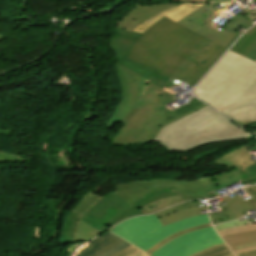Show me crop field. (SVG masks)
<instances>
[{
	"label": "crop field",
	"mask_w": 256,
	"mask_h": 256,
	"mask_svg": "<svg viewBox=\"0 0 256 256\" xmlns=\"http://www.w3.org/2000/svg\"><path fill=\"white\" fill-rule=\"evenodd\" d=\"M116 32L109 45L115 52L123 99L105 128L111 129L118 122L124 125L111 143L155 142L168 152L185 153L207 143L254 138L193 97L173 111L167 108L176 100L162 90L164 85L171 82L167 88L171 91L181 82L126 58L140 34L120 28Z\"/></svg>",
	"instance_id": "8a807250"
},
{
	"label": "crop field",
	"mask_w": 256,
	"mask_h": 256,
	"mask_svg": "<svg viewBox=\"0 0 256 256\" xmlns=\"http://www.w3.org/2000/svg\"><path fill=\"white\" fill-rule=\"evenodd\" d=\"M214 164L228 165L229 171L190 182L152 180L119 184L115 193L102 197L88 192L67 214L59 245L89 241L107 230L103 225L130 207L131 203L154 191L177 186L185 201L207 199L206 194L242 180L235 165L220 158L215 160Z\"/></svg>",
	"instance_id": "ac0d7876"
},
{
	"label": "crop field",
	"mask_w": 256,
	"mask_h": 256,
	"mask_svg": "<svg viewBox=\"0 0 256 256\" xmlns=\"http://www.w3.org/2000/svg\"><path fill=\"white\" fill-rule=\"evenodd\" d=\"M194 93L218 111L252 98L256 96V62L229 51Z\"/></svg>",
	"instance_id": "34b2d1b8"
},
{
	"label": "crop field",
	"mask_w": 256,
	"mask_h": 256,
	"mask_svg": "<svg viewBox=\"0 0 256 256\" xmlns=\"http://www.w3.org/2000/svg\"><path fill=\"white\" fill-rule=\"evenodd\" d=\"M194 33L164 17L141 34L128 58L160 70Z\"/></svg>",
	"instance_id": "412701ff"
},
{
	"label": "crop field",
	"mask_w": 256,
	"mask_h": 256,
	"mask_svg": "<svg viewBox=\"0 0 256 256\" xmlns=\"http://www.w3.org/2000/svg\"><path fill=\"white\" fill-rule=\"evenodd\" d=\"M225 50L226 48L195 33L164 65L160 73L172 76L193 88Z\"/></svg>",
	"instance_id": "f4fd0767"
},
{
	"label": "crop field",
	"mask_w": 256,
	"mask_h": 256,
	"mask_svg": "<svg viewBox=\"0 0 256 256\" xmlns=\"http://www.w3.org/2000/svg\"><path fill=\"white\" fill-rule=\"evenodd\" d=\"M213 227L184 234L165 244L152 256H190L210 246L222 244Z\"/></svg>",
	"instance_id": "dd49c442"
},
{
	"label": "crop field",
	"mask_w": 256,
	"mask_h": 256,
	"mask_svg": "<svg viewBox=\"0 0 256 256\" xmlns=\"http://www.w3.org/2000/svg\"><path fill=\"white\" fill-rule=\"evenodd\" d=\"M224 2L226 1L205 4L180 20L178 23L226 47L234 35L220 30L221 27L216 24H207V21L212 17V15L219 11L216 8L212 9L211 6Z\"/></svg>",
	"instance_id": "e52e79f7"
},
{
	"label": "crop field",
	"mask_w": 256,
	"mask_h": 256,
	"mask_svg": "<svg viewBox=\"0 0 256 256\" xmlns=\"http://www.w3.org/2000/svg\"><path fill=\"white\" fill-rule=\"evenodd\" d=\"M162 227L155 214L135 217L121 222L111 230L114 234L134 244L152 231Z\"/></svg>",
	"instance_id": "d8731c3e"
},
{
	"label": "crop field",
	"mask_w": 256,
	"mask_h": 256,
	"mask_svg": "<svg viewBox=\"0 0 256 256\" xmlns=\"http://www.w3.org/2000/svg\"><path fill=\"white\" fill-rule=\"evenodd\" d=\"M208 222H210V221L207 217V214H200L195 217L187 218V219L169 224L167 226H164V227L152 232L151 234L144 237L143 239H141L134 245H136L137 247L146 251L147 249H149L151 246H153L154 244H156L163 238H165L175 232L184 230V229L192 227V226L208 223Z\"/></svg>",
	"instance_id": "5a996713"
},
{
	"label": "crop field",
	"mask_w": 256,
	"mask_h": 256,
	"mask_svg": "<svg viewBox=\"0 0 256 256\" xmlns=\"http://www.w3.org/2000/svg\"><path fill=\"white\" fill-rule=\"evenodd\" d=\"M246 194L252 198L243 200L244 205L256 201V186L244 188ZM218 234L224 239L229 247L256 241V224L234 227L219 231Z\"/></svg>",
	"instance_id": "3316defc"
},
{
	"label": "crop field",
	"mask_w": 256,
	"mask_h": 256,
	"mask_svg": "<svg viewBox=\"0 0 256 256\" xmlns=\"http://www.w3.org/2000/svg\"><path fill=\"white\" fill-rule=\"evenodd\" d=\"M131 244L106 232L89 242L76 256H112Z\"/></svg>",
	"instance_id": "28ad6ade"
},
{
	"label": "crop field",
	"mask_w": 256,
	"mask_h": 256,
	"mask_svg": "<svg viewBox=\"0 0 256 256\" xmlns=\"http://www.w3.org/2000/svg\"><path fill=\"white\" fill-rule=\"evenodd\" d=\"M176 4H180V3H172V4H164V5H156V6H137L121 19L117 27L132 31L141 22L145 21L149 17L157 13H160Z\"/></svg>",
	"instance_id": "d1516ede"
},
{
	"label": "crop field",
	"mask_w": 256,
	"mask_h": 256,
	"mask_svg": "<svg viewBox=\"0 0 256 256\" xmlns=\"http://www.w3.org/2000/svg\"><path fill=\"white\" fill-rule=\"evenodd\" d=\"M207 210L206 207H198V201H190L176 205L174 207L168 208L161 212L156 213V216L162 223V225H167L169 223L195 216L200 214V211Z\"/></svg>",
	"instance_id": "22f410ed"
},
{
	"label": "crop field",
	"mask_w": 256,
	"mask_h": 256,
	"mask_svg": "<svg viewBox=\"0 0 256 256\" xmlns=\"http://www.w3.org/2000/svg\"><path fill=\"white\" fill-rule=\"evenodd\" d=\"M175 195H179V192H178L176 187L152 193V194L142 198L141 200L133 203L132 207H130L129 209L125 210L124 212H122L121 214L116 216L109 223H107L105 225V227H107L109 229L112 226H114L116 223H118V222H120V221H122V220H124L126 218L132 217L134 215H141V214H143L142 212H140L138 210V208L142 207V206H144V205H146V204H148V203H150V202H152L154 200L165 198V197H169V196H175Z\"/></svg>",
	"instance_id": "cbeb9de0"
},
{
	"label": "crop field",
	"mask_w": 256,
	"mask_h": 256,
	"mask_svg": "<svg viewBox=\"0 0 256 256\" xmlns=\"http://www.w3.org/2000/svg\"><path fill=\"white\" fill-rule=\"evenodd\" d=\"M220 158H223V159L237 165V167L239 164H241L245 169L248 170L247 173L250 174L252 176V178H249L246 173H244L238 169L244 183L248 182V181H253V180L256 181V161L252 160L249 157V155L247 154V152L245 150V145L227 153L226 155H224ZM244 168H242V169H244Z\"/></svg>",
	"instance_id": "5142ce71"
},
{
	"label": "crop field",
	"mask_w": 256,
	"mask_h": 256,
	"mask_svg": "<svg viewBox=\"0 0 256 256\" xmlns=\"http://www.w3.org/2000/svg\"><path fill=\"white\" fill-rule=\"evenodd\" d=\"M203 4H196V3H183L181 5H176L148 20L141 23L134 32L142 33L144 30H146L149 26H151L155 21H157L159 18L166 16L174 21H179L189 13L193 12Z\"/></svg>",
	"instance_id": "d9b57169"
},
{
	"label": "crop field",
	"mask_w": 256,
	"mask_h": 256,
	"mask_svg": "<svg viewBox=\"0 0 256 256\" xmlns=\"http://www.w3.org/2000/svg\"><path fill=\"white\" fill-rule=\"evenodd\" d=\"M221 112L237 121H256V97Z\"/></svg>",
	"instance_id": "733c2abd"
},
{
	"label": "crop field",
	"mask_w": 256,
	"mask_h": 256,
	"mask_svg": "<svg viewBox=\"0 0 256 256\" xmlns=\"http://www.w3.org/2000/svg\"><path fill=\"white\" fill-rule=\"evenodd\" d=\"M256 44V26L249 29L230 49L238 54H245Z\"/></svg>",
	"instance_id": "4a817a6b"
},
{
	"label": "crop field",
	"mask_w": 256,
	"mask_h": 256,
	"mask_svg": "<svg viewBox=\"0 0 256 256\" xmlns=\"http://www.w3.org/2000/svg\"><path fill=\"white\" fill-rule=\"evenodd\" d=\"M225 204L229 207L231 212L234 214L236 219L245 216V212L255 210L256 202L244 206L242 201L239 200L238 196L230 198L229 196L223 197Z\"/></svg>",
	"instance_id": "bc2a9ffb"
},
{
	"label": "crop field",
	"mask_w": 256,
	"mask_h": 256,
	"mask_svg": "<svg viewBox=\"0 0 256 256\" xmlns=\"http://www.w3.org/2000/svg\"><path fill=\"white\" fill-rule=\"evenodd\" d=\"M180 202H184V199L181 197V195L157 200L149 205L140 208L139 210L145 214H151L162 209H165L167 207H170L172 205L178 204Z\"/></svg>",
	"instance_id": "214f88e0"
},
{
	"label": "crop field",
	"mask_w": 256,
	"mask_h": 256,
	"mask_svg": "<svg viewBox=\"0 0 256 256\" xmlns=\"http://www.w3.org/2000/svg\"><path fill=\"white\" fill-rule=\"evenodd\" d=\"M239 25L244 26L246 28L250 27L251 25H253L250 21H248L243 15H241L240 13L232 18L230 21H228L224 26H223V30L230 32L234 35H236L234 37V39L229 43V45L227 46V48L233 43V41L239 36V34L233 32Z\"/></svg>",
	"instance_id": "92a150f3"
},
{
	"label": "crop field",
	"mask_w": 256,
	"mask_h": 256,
	"mask_svg": "<svg viewBox=\"0 0 256 256\" xmlns=\"http://www.w3.org/2000/svg\"><path fill=\"white\" fill-rule=\"evenodd\" d=\"M220 208L222 209L221 212L210 214V218L214 225L235 220V217L233 216V214L230 212L226 205L221 206Z\"/></svg>",
	"instance_id": "dafd665d"
},
{
	"label": "crop field",
	"mask_w": 256,
	"mask_h": 256,
	"mask_svg": "<svg viewBox=\"0 0 256 256\" xmlns=\"http://www.w3.org/2000/svg\"><path fill=\"white\" fill-rule=\"evenodd\" d=\"M211 226V223H208V224H204V225H200V226H196V227H192V228H189L187 230H184V231H181V232H178L176 234H173L165 239H163L162 241H160L159 243H157L156 245H154L152 248H150L148 251H146L148 254H152L153 252H155L159 247H161L163 244L171 241L172 239L184 234V233H187V232H190V231H193V230H197V229H202V228H206V227H210ZM164 246V245H163Z\"/></svg>",
	"instance_id": "00972430"
},
{
	"label": "crop field",
	"mask_w": 256,
	"mask_h": 256,
	"mask_svg": "<svg viewBox=\"0 0 256 256\" xmlns=\"http://www.w3.org/2000/svg\"><path fill=\"white\" fill-rule=\"evenodd\" d=\"M227 250H229L228 247L225 244H222V245L210 247V248H208L202 252L196 253L192 256H212V255H215L217 253L227 251Z\"/></svg>",
	"instance_id": "a9b5d70f"
},
{
	"label": "crop field",
	"mask_w": 256,
	"mask_h": 256,
	"mask_svg": "<svg viewBox=\"0 0 256 256\" xmlns=\"http://www.w3.org/2000/svg\"><path fill=\"white\" fill-rule=\"evenodd\" d=\"M249 224L246 220L240 222V220H236V221H232V222H228L222 225H218L215 226L216 231L218 230H222V229H226V228H230V227H234V226H240V225H246Z\"/></svg>",
	"instance_id": "4177f3b9"
},
{
	"label": "crop field",
	"mask_w": 256,
	"mask_h": 256,
	"mask_svg": "<svg viewBox=\"0 0 256 256\" xmlns=\"http://www.w3.org/2000/svg\"><path fill=\"white\" fill-rule=\"evenodd\" d=\"M139 251H141V250H139L131 245V246L127 247L126 249L122 250L121 252L117 253L114 256H131Z\"/></svg>",
	"instance_id": "730fd06b"
},
{
	"label": "crop field",
	"mask_w": 256,
	"mask_h": 256,
	"mask_svg": "<svg viewBox=\"0 0 256 256\" xmlns=\"http://www.w3.org/2000/svg\"><path fill=\"white\" fill-rule=\"evenodd\" d=\"M247 58L255 61L256 60V45L246 54Z\"/></svg>",
	"instance_id": "eef30255"
},
{
	"label": "crop field",
	"mask_w": 256,
	"mask_h": 256,
	"mask_svg": "<svg viewBox=\"0 0 256 256\" xmlns=\"http://www.w3.org/2000/svg\"><path fill=\"white\" fill-rule=\"evenodd\" d=\"M235 256H256V250L236 254Z\"/></svg>",
	"instance_id": "ae1a2a85"
},
{
	"label": "crop field",
	"mask_w": 256,
	"mask_h": 256,
	"mask_svg": "<svg viewBox=\"0 0 256 256\" xmlns=\"http://www.w3.org/2000/svg\"><path fill=\"white\" fill-rule=\"evenodd\" d=\"M245 17H247L251 21L256 19V10L254 9L252 12L248 13L247 15H245Z\"/></svg>",
	"instance_id": "d3111659"
},
{
	"label": "crop field",
	"mask_w": 256,
	"mask_h": 256,
	"mask_svg": "<svg viewBox=\"0 0 256 256\" xmlns=\"http://www.w3.org/2000/svg\"><path fill=\"white\" fill-rule=\"evenodd\" d=\"M256 245V242L255 243H249V244H245V245H241V246H236V247H232L231 250H237V249H241V248H245V247H249V246H254Z\"/></svg>",
	"instance_id": "750c4746"
},
{
	"label": "crop field",
	"mask_w": 256,
	"mask_h": 256,
	"mask_svg": "<svg viewBox=\"0 0 256 256\" xmlns=\"http://www.w3.org/2000/svg\"><path fill=\"white\" fill-rule=\"evenodd\" d=\"M253 249H256V246L250 247V248H246V249H242V250H238V251H234L233 254L244 252V251H248V250H253Z\"/></svg>",
	"instance_id": "bd1437ed"
},
{
	"label": "crop field",
	"mask_w": 256,
	"mask_h": 256,
	"mask_svg": "<svg viewBox=\"0 0 256 256\" xmlns=\"http://www.w3.org/2000/svg\"><path fill=\"white\" fill-rule=\"evenodd\" d=\"M215 256H233V254L230 251H228V252L220 253V254L215 255Z\"/></svg>",
	"instance_id": "1d83c4d3"
},
{
	"label": "crop field",
	"mask_w": 256,
	"mask_h": 256,
	"mask_svg": "<svg viewBox=\"0 0 256 256\" xmlns=\"http://www.w3.org/2000/svg\"><path fill=\"white\" fill-rule=\"evenodd\" d=\"M133 256H149V255H147V254H145L144 252L141 251V252H139V253H137Z\"/></svg>",
	"instance_id": "120bbe31"
},
{
	"label": "crop field",
	"mask_w": 256,
	"mask_h": 256,
	"mask_svg": "<svg viewBox=\"0 0 256 256\" xmlns=\"http://www.w3.org/2000/svg\"><path fill=\"white\" fill-rule=\"evenodd\" d=\"M190 1L210 2V1H217V0H190Z\"/></svg>",
	"instance_id": "d32e631a"
},
{
	"label": "crop field",
	"mask_w": 256,
	"mask_h": 256,
	"mask_svg": "<svg viewBox=\"0 0 256 256\" xmlns=\"http://www.w3.org/2000/svg\"><path fill=\"white\" fill-rule=\"evenodd\" d=\"M248 126H250V127H252V128H256V124H250V125H248Z\"/></svg>",
	"instance_id": "5866460e"
},
{
	"label": "crop field",
	"mask_w": 256,
	"mask_h": 256,
	"mask_svg": "<svg viewBox=\"0 0 256 256\" xmlns=\"http://www.w3.org/2000/svg\"><path fill=\"white\" fill-rule=\"evenodd\" d=\"M4 37H6V36L0 34V40H2Z\"/></svg>",
	"instance_id": "028f5c9d"
},
{
	"label": "crop field",
	"mask_w": 256,
	"mask_h": 256,
	"mask_svg": "<svg viewBox=\"0 0 256 256\" xmlns=\"http://www.w3.org/2000/svg\"><path fill=\"white\" fill-rule=\"evenodd\" d=\"M243 171L246 172L247 170L244 169ZM249 177H250V176H249Z\"/></svg>",
	"instance_id": "e1f06a70"
},
{
	"label": "crop field",
	"mask_w": 256,
	"mask_h": 256,
	"mask_svg": "<svg viewBox=\"0 0 256 256\" xmlns=\"http://www.w3.org/2000/svg\"><path fill=\"white\" fill-rule=\"evenodd\" d=\"M253 132H255V133H256V130H255V131H253Z\"/></svg>",
	"instance_id": "0bd39190"
}]
</instances>
